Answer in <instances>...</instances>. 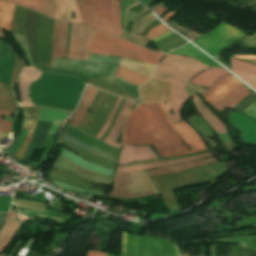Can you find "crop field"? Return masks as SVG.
Returning a JSON list of instances; mask_svg holds the SVG:
<instances>
[{
  "label": "crop field",
  "instance_id": "c21b1889",
  "mask_svg": "<svg viewBox=\"0 0 256 256\" xmlns=\"http://www.w3.org/2000/svg\"><path fill=\"white\" fill-rule=\"evenodd\" d=\"M242 113L246 114L250 118L256 120V102L252 103L246 110Z\"/></svg>",
  "mask_w": 256,
  "mask_h": 256
},
{
  "label": "crop field",
  "instance_id": "0fb4a251",
  "mask_svg": "<svg viewBox=\"0 0 256 256\" xmlns=\"http://www.w3.org/2000/svg\"><path fill=\"white\" fill-rule=\"evenodd\" d=\"M89 115H90V114H88V113L86 114L85 118H84L83 121L80 123V125L78 126V128H80V129L82 128V126L85 124V122H86L87 118L89 117Z\"/></svg>",
  "mask_w": 256,
  "mask_h": 256
},
{
  "label": "crop field",
  "instance_id": "9d1cf04e",
  "mask_svg": "<svg viewBox=\"0 0 256 256\" xmlns=\"http://www.w3.org/2000/svg\"><path fill=\"white\" fill-rule=\"evenodd\" d=\"M4 216H5V214H0V227H1V225H2Z\"/></svg>",
  "mask_w": 256,
  "mask_h": 256
},
{
  "label": "crop field",
  "instance_id": "b54c1fbb",
  "mask_svg": "<svg viewBox=\"0 0 256 256\" xmlns=\"http://www.w3.org/2000/svg\"><path fill=\"white\" fill-rule=\"evenodd\" d=\"M120 100H121V98L119 97L118 100H117V102H116V104H115V106H114V108H113V111H112V113H111V115H110L108 121L106 122V124L104 125L103 129L101 130V132L98 134V136H97L96 138L99 139L100 136H101V135L103 134V132L105 131V129L107 128V126H108V124H109V122H110V120H111V118H112V116H113V114H114V112H115V110H116V108H117V106H118Z\"/></svg>",
  "mask_w": 256,
  "mask_h": 256
},
{
  "label": "crop field",
  "instance_id": "b80d0937",
  "mask_svg": "<svg viewBox=\"0 0 256 256\" xmlns=\"http://www.w3.org/2000/svg\"><path fill=\"white\" fill-rule=\"evenodd\" d=\"M54 182H55V185H57V186L64 187V188H67V189H70V190H74V191H78V192L92 193V194H105V193H97V192H92V191H87V190L79 189V188H76V187H73V186H70V185H67V184H63V183L57 182V181H54Z\"/></svg>",
  "mask_w": 256,
  "mask_h": 256
},
{
  "label": "crop field",
  "instance_id": "5866460e",
  "mask_svg": "<svg viewBox=\"0 0 256 256\" xmlns=\"http://www.w3.org/2000/svg\"><path fill=\"white\" fill-rule=\"evenodd\" d=\"M24 8L15 6L14 11V21H13V31L19 34H24V27H23V17H24Z\"/></svg>",
  "mask_w": 256,
  "mask_h": 256
},
{
  "label": "crop field",
  "instance_id": "c035e120",
  "mask_svg": "<svg viewBox=\"0 0 256 256\" xmlns=\"http://www.w3.org/2000/svg\"><path fill=\"white\" fill-rule=\"evenodd\" d=\"M124 101H125V99L123 98L122 101H121V103H120V105H119V107H118V109H117V111H116V113H115V115H114V117H113V119H112V121H111V123H110V125H109V127H108V129L106 130L105 134L100 138V140L103 141L104 138H105V137L108 135V133L110 132L111 128L113 127V125H114V123H115L117 114H118V112L120 111V109H121V107H122Z\"/></svg>",
  "mask_w": 256,
  "mask_h": 256
},
{
  "label": "crop field",
  "instance_id": "5142ce71",
  "mask_svg": "<svg viewBox=\"0 0 256 256\" xmlns=\"http://www.w3.org/2000/svg\"><path fill=\"white\" fill-rule=\"evenodd\" d=\"M155 158L157 155L148 146H124L118 164Z\"/></svg>",
  "mask_w": 256,
  "mask_h": 256
},
{
  "label": "crop field",
  "instance_id": "bd1437ed",
  "mask_svg": "<svg viewBox=\"0 0 256 256\" xmlns=\"http://www.w3.org/2000/svg\"><path fill=\"white\" fill-rule=\"evenodd\" d=\"M13 7L12 4L0 1V36L2 38H4L3 29L11 31Z\"/></svg>",
  "mask_w": 256,
  "mask_h": 256
},
{
  "label": "crop field",
  "instance_id": "73cf0c24",
  "mask_svg": "<svg viewBox=\"0 0 256 256\" xmlns=\"http://www.w3.org/2000/svg\"><path fill=\"white\" fill-rule=\"evenodd\" d=\"M70 27H71V24L69 23V28H68V38H67V46H66V54H65V58H67V54H68V44H69Z\"/></svg>",
  "mask_w": 256,
  "mask_h": 256
},
{
  "label": "crop field",
  "instance_id": "214f88e0",
  "mask_svg": "<svg viewBox=\"0 0 256 256\" xmlns=\"http://www.w3.org/2000/svg\"><path fill=\"white\" fill-rule=\"evenodd\" d=\"M232 70L256 90V66L232 60Z\"/></svg>",
  "mask_w": 256,
  "mask_h": 256
},
{
  "label": "crop field",
  "instance_id": "bc2a9ffb",
  "mask_svg": "<svg viewBox=\"0 0 256 256\" xmlns=\"http://www.w3.org/2000/svg\"><path fill=\"white\" fill-rule=\"evenodd\" d=\"M41 12L53 18L54 0H4Z\"/></svg>",
  "mask_w": 256,
  "mask_h": 256
},
{
  "label": "crop field",
  "instance_id": "1f2cbd36",
  "mask_svg": "<svg viewBox=\"0 0 256 256\" xmlns=\"http://www.w3.org/2000/svg\"><path fill=\"white\" fill-rule=\"evenodd\" d=\"M172 33H174V32L170 31V32H168V33H165V34L159 36L158 38H156V39H154V40H152V41L155 42V41H157V40H159V39H161V38H163V37H165V36H167V35H170V34H172Z\"/></svg>",
  "mask_w": 256,
  "mask_h": 256
},
{
  "label": "crop field",
  "instance_id": "7b73153f",
  "mask_svg": "<svg viewBox=\"0 0 256 256\" xmlns=\"http://www.w3.org/2000/svg\"><path fill=\"white\" fill-rule=\"evenodd\" d=\"M202 256H204V255H202Z\"/></svg>",
  "mask_w": 256,
  "mask_h": 256
},
{
  "label": "crop field",
  "instance_id": "d8731c3e",
  "mask_svg": "<svg viewBox=\"0 0 256 256\" xmlns=\"http://www.w3.org/2000/svg\"><path fill=\"white\" fill-rule=\"evenodd\" d=\"M117 98V96L102 92L93 113H91V116L81 130L96 137L108 118Z\"/></svg>",
  "mask_w": 256,
  "mask_h": 256
},
{
  "label": "crop field",
  "instance_id": "8a807250",
  "mask_svg": "<svg viewBox=\"0 0 256 256\" xmlns=\"http://www.w3.org/2000/svg\"><path fill=\"white\" fill-rule=\"evenodd\" d=\"M124 144H151L160 157L190 153L167 125L158 103L140 105L130 113L124 127Z\"/></svg>",
  "mask_w": 256,
  "mask_h": 256
},
{
  "label": "crop field",
  "instance_id": "d9b57169",
  "mask_svg": "<svg viewBox=\"0 0 256 256\" xmlns=\"http://www.w3.org/2000/svg\"><path fill=\"white\" fill-rule=\"evenodd\" d=\"M51 123L39 121L35 132L33 134L30 146L22 159V162L27 163L30 161V157L34 150L42 151L46 139V135Z\"/></svg>",
  "mask_w": 256,
  "mask_h": 256
},
{
  "label": "crop field",
  "instance_id": "cbeb9de0",
  "mask_svg": "<svg viewBox=\"0 0 256 256\" xmlns=\"http://www.w3.org/2000/svg\"><path fill=\"white\" fill-rule=\"evenodd\" d=\"M67 27L68 23H63L55 20L52 43V60L50 68H52L53 66L54 57L64 58Z\"/></svg>",
  "mask_w": 256,
  "mask_h": 256
},
{
  "label": "crop field",
  "instance_id": "dafd665d",
  "mask_svg": "<svg viewBox=\"0 0 256 256\" xmlns=\"http://www.w3.org/2000/svg\"><path fill=\"white\" fill-rule=\"evenodd\" d=\"M240 83L233 76L227 77L205 99L213 105Z\"/></svg>",
  "mask_w": 256,
  "mask_h": 256
},
{
  "label": "crop field",
  "instance_id": "34b2d1b8",
  "mask_svg": "<svg viewBox=\"0 0 256 256\" xmlns=\"http://www.w3.org/2000/svg\"><path fill=\"white\" fill-rule=\"evenodd\" d=\"M83 24L121 35L118 0H75Z\"/></svg>",
  "mask_w": 256,
  "mask_h": 256
},
{
  "label": "crop field",
  "instance_id": "120bbe31",
  "mask_svg": "<svg viewBox=\"0 0 256 256\" xmlns=\"http://www.w3.org/2000/svg\"><path fill=\"white\" fill-rule=\"evenodd\" d=\"M54 168H57L59 170L65 171L67 173L73 174L75 176L81 177L83 179H86L95 183L106 184V185H109L110 183V181H107V180L85 175L60 160L56 161Z\"/></svg>",
  "mask_w": 256,
  "mask_h": 256
},
{
  "label": "crop field",
  "instance_id": "22f410ed",
  "mask_svg": "<svg viewBox=\"0 0 256 256\" xmlns=\"http://www.w3.org/2000/svg\"><path fill=\"white\" fill-rule=\"evenodd\" d=\"M159 104L169 125L178 135H180L183 138L184 142L190 146L192 153L206 149L199 136L184 121L171 125L165 104Z\"/></svg>",
  "mask_w": 256,
  "mask_h": 256
},
{
  "label": "crop field",
  "instance_id": "028f5c9d",
  "mask_svg": "<svg viewBox=\"0 0 256 256\" xmlns=\"http://www.w3.org/2000/svg\"><path fill=\"white\" fill-rule=\"evenodd\" d=\"M88 84L96 86V87H98L102 90L109 91V92L115 93L117 95L124 96L126 98L133 99V97H134V96H132V95L126 93V92H123V91H121V90H119V89H117V88H115V87H113L109 84L102 83V82L96 81V80L91 79V78L89 79Z\"/></svg>",
  "mask_w": 256,
  "mask_h": 256
},
{
  "label": "crop field",
  "instance_id": "3316defc",
  "mask_svg": "<svg viewBox=\"0 0 256 256\" xmlns=\"http://www.w3.org/2000/svg\"><path fill=\"white\" fill-rule=\"evenodd\" d=\"M92 29L72 24L68 58L88 59V44Z\"/></svg>",
  "mask_w": 256,
  "mask_h": 256
},
{
  "label": "crop field",
  "instance_id": "ac0d7876",
  "mask_svg": "<svg viewBox=\"0 0 256 256\" xmlns=\"http://www.w3.org/2000/svg\"><path fill=\"white\" fill-rule=\"evenodd\" d=\"M209 68L189 57L165 55L158 66L153 78L171 82L172 102H168L169 109L173 110V115L169 113L171 122H178L180 109L188 99V94L184 85L198 72Z\"/></svg>",
  "mask_w": 256,
  "mask_h": 256
},
{
  "label": "crop field",
  "instance_id": "92a150f3",
  "mask_svg": "<svg viewBox=\"0 0 256 256\" xmlns=\"http://www.w3.org/2000/svg\"><path fill=\"white\" fill-rule=\"evenodd\" d=\"M209 156H212V155L210 153H208V154H202V155L180 158V159L164 161V162H159V163H153V164L121 167V168H117L116 173L137 171V170H143V169H149V168H159V167H163V166H167V165H171V164L194 161V160H198V159H201V158H204V157H209Z\"/></svg>",
  "mask_w": 256,
  "mask_h": 256
},
{
  "label": "crop field",
  "instance_id": "25e5ab78",
  "mask_svg": "<svg viewBox=\"0 0 256 256\" xmlns=\"http://www.w3.org/2000/svg\"><path fill=\"white\" fill-rule=\"evenodd\" d=\"M165 10H167V8H162V7H157L155 10H153L156 14L160 15L162 14Z\"/></svg>",
  "mask_w": 256,
  "mask_h": 256
},
{
  "label": "crop field",
  "instance_id": "750c4746",
  "mask_svg": "<svg viewBox=\"0 0 256 256\" xmlns=\"http://www.w3.org/2000/svg\"><path fill=\"white\" fill-rule=\"evenodd\" d=\"M171 53L185 54L201 62H204L210 66L221 67L217 63H215L213 60H211L209 57H207L205 54H203L201 51H199L197 48H195L193 45H191L190 43L186 44L184 47L177 49Z\"/></svg>",
  "mask_w": 256,
  "mask_h": 256
},
{
  "label": "crop field",
  "instance_id": "733c2abd",
  "mask_svg": "<svg viewBox=\"0 0 256 256\" xmlns=\"http://www.w3.org/2000/svg\"><path fill=\"white\" fill-rule=\"evenodd\" d=\"M97 92H98V89H96V88H93L90 86L86 87L83 97H82L80 103L78 104L71 121L68 124H70L74 127L78 126V124L84 118V116L86 114V110L89 109Z\"/></svg>",
  "mask_w": 256,
  "mask_h": 256
},
{
  "label": "crop field",
  "instance_id": "4177f3b9",
  "mask_svg": "<svg viewBox=\"0 0 256 256\" xmlns=\"http://www.w3.org/2000/svg\"><path fill=\"white\" fill-rule=\"evenodd\" d=\"M248 92L241 84L233 89L227 96L222 98L217 104L213 107L222 110L227 106L234 107L241 99L247 96ZM218 110V111H219Z\"/></svg>",
  "mask_w": 256,
  "mask_h": 256
},
{
  "label": "crop field",
  "instance_id": "f4fd0767",
  "mask_svg": "<svg viewBox=\"0 0 256 256\" xmlns=\"http://www.w3.org/2000/svg\"><path fill=\"white\" fill-rule=\"evenodd\" d=\"M107 256H116L109 254ZM122 256H177L175 246L166 240L123 232Z\"/></svg>",
  "mask_w": 256,
  "mask_h": 256
},
{
  "label": "crop field",
  "instance_id": "1d79db26",
  "mask_svg": "<svg viewBox=\"0 0 256 256\" xmlns=\"http://www.w3.org/2000/svg\"><path fill=\"white\" fill-rule=\"evenodd\" d=\"M174 14V12H170V13H168L165 17H163L162 18V20L165 22L171 15H173Z\"/></svg>",
  "mask_w": 256,
  "mask_h": 256
},
{
  "label": "crop field",
  "instance_id": "28ad6ade",
  "mask_svg": "<svg viewBox=\"0 0 256 256\" xmlns=\"http://www.w3.org/2000/svg\"><path fill=\"white\" fill-rule=\"evenodd\" d=\"M141 103L155 101H171L170 83L150 79L140 88Z\"/></svg>",
  "mask_w": 256,
  "mask_h": 256
},
{
  "label": "crop field",
  "instance_id": "89e229c0",
  "mask_svg": "<svg viewBox=\"0 0 256 256\" xmlns=\"http://www.w3.org/2000/svg\"><path fill=\"white\" fill-rule=\"evenodd\" d=\"M101 92H102V91L99 90V92H98V94H97V96H96V98H95V100H94V102H93V104H92V106H91V108H90L91 110H93V108H94V106H95V104H96V102H97V100H98V98H99Z\"/></svg>",
  "mask_w": 256,
  "mask_h": 256
},
{
  "label": "crop field",
  "instance_id": "5d738f31",
  "mask_svg": "<svg viewBox=\"0 0 256 256\" xmlns=\"http://www.w3.org/2000/svg\"><path fill=\"white\" fill-rule=\"evenodd\" d=\"M229 75H231V73H229V74H227V75H224V76L220 77L218 80H216L204 93H202L203 97H204L205 95H207L210 91H212V90L215 88V86H216L223 78H225V77H227V76H229Z\"/></svg>",
  "mask_w": 256,
  "mask_h": 256
},
{
  "label": "crop field",
  "instance_id": "412701ff",
  "mask_svg": "<svg viewBox=\"0 0 256 256\" xmlns=\"http://www.w3.org/2000/svg\"><path fill=\"white\" fill-rule=\"evenodd\" d=\"M90 53L118 55L146 63L154 64L163 54L136 46L122 38L93 31L90 41Z\"/></svg>",
  "mask_w": 256,
  "mask_h": 256
},
{
  "label": "crop field",
  "instance_id": "d23c7cc5",
  "mask_svg": "<svg viewBox=\"0 0 256 256\" xmlns=\"http://www.w3.org/2000/svg\"><path fill=\"white\" fill-rule=\"evenodd\" d=\"M135 1H132V0H128V1H125L123 2V4L121 5V25H122V22H123V13H124V8L132 3H134Z\"/></svg>",
  "mask_w": 256,
  "mask_h": 256
},
{
  "label": "crop field",
  "instance_id": "d32e631a",
  "mask_svg": "<svg viewBox=\"0 0 256 256\" xmlns=\"http://www.w3.org/2000/svg\"><path fill=\"white\" fill-rule=\"evenodd\" d=\"M36 122L35 120H32V119H24L23 121V125L22 127L23 128H28L29 131L26 135V138L22 144V146L19 148V150L15 153V155L13 157L17 158L18 160L21 161L27 147H28V144L30 142V139L32 137V134H33V131H34V128H35V125H36Z\"/></svg>",
  "mask_w": 256,
  "mask_h": 256
},
{
  "label": "crop field",
  "instance_id": "d1516ede",
  "mask_svg": "<svg viewBox=\"0 0 256 256\" xmlns=\"http://www.w3.org/2000/svg\"><path fill=\"white\" fill-rule=\"evenodd\" d=\"M19 109L24 110V113H23L24 118H32L37 120L40 108L19 107ZM67 115H68L67 112L41 108L38 120L53 122L48 133H55L58 126L65 120Z\"/></svg>",
  "mask_w": 256,
  "mask_h": 256
},
{
  "label": "crop field",
  "instance_id": "425ffa30",
  "mask_svg": "<svg viewBox=\"0 0 256 256\" xmlns=\"http://www.w3.org/2000/svg\"><path fill=\"white\" fill-rule=\"evenodd\" d=\"M107 253L105 252H92L88 251L86 256H106Z\"/></svg>",
  "mask_w": 256,
  "mask_h": 256
},
{
  "label": "crop field",
  "instance_id": "ae1a2a85",
  "mask_svg": "<svg viewBox=\"0 0 256 256\" xmlns=\"http://www.w3.org/2000/svg\"><path fill=\"white\" fill-rule=\"evenodd\" d=\"M216 161H217L216 158L213 157V158H209V159H205V160H201V161H197V162L187 163V164L163 168V169H152V170H148L147 173L150 175V177L166 175V174L175 173L177 171L201 166V165L216 162Z\"/></svg>",
  "mask_w": 256,
  "mask_h": 256
},
{
  "label": "crop field",
  "instance_id": "0765c3eb",
  "mask_svg": "<svg viewBox=\"0 0 256 256\" xmlns=\"http://www.w3.org/2000/svg\"><path fill=\"white\" fill-rule=\"evenodd\" d=\"M141 1H143V2L145 3V5L150 2V0H141ZM143 2H142V3H143Z\"/></svg>",
  "mask_w": 256,
  "mask_h": 256
},
{
  "label": "crop field",
  "instance_id": "1d83c4d3",
  "mask_svg": "<svg viewBox=\"0 0 256 256\" xmlns=\"http://www.w3.org/2000/svg\"><path fill=\"white\" fill-rule=\"evenodd\" d=\"M115 76L123 78L138 87L149 79L148 77L120 66L118 67Z\"/></svg>",
  "mask_w": 256,
  "mask_h": 256
},
{
  "label": "crop field",
  "instance_id": "e1f06a70",
  "mask_svg": "<svg viewBox=\"0 0 256 256\" xmlns=\"http://www.w3.org/2000/svg\"><path fill=\"white\" fill-rule=\"evenodd\" d=\"M170 31L168 28L163 26L162 24L152 27L147 33L146 37H149L151 40L158 37L159 35Z\"/></svg>",
  "mask_w": 256,
  "mask_h": 256
},
{
  "label": "crop field",
  "instance_id": "db79e9e6",
  "mask_svg": "<svg viewBox=\"0 0 256 256\" xmlns=\"http://www.w3.org/2000/svg\"><path fill=\"white\" fill-rule=\"evenodd\" d=\"M184 256H187L186 254H184Z\"/></svg>",
  "mask_w": 256,
  "mask_h": 256
},
{
  "label": "crop field",
  "instance_id": "730fd06b",
  "mask_svg": "<svg viewBox=\"0 0 256 256\" xmlns=\"http://www.w3.org/2000/svg\"><path fill=\"white\" fill-rule=\"evenodd\" d=\"M134 102L132 101H129V100H126L119 116H118V119L115 123V126L114 128L112 129V131L109 133V135L105 138L104 142L110 144L111 146L113 147H118L120 148L121 147V144H118L115 141L116 137L118 136L121 128H122V125H123V121L129 111V109L131 108V106L133 105Z\"/></svg>",
  "mask_w": 256,
  "mask_h": 256
},
{
  "label": "crop field",
  "instance_id": "dd49c442",
  "mask_svg": "<svg viewBox=\"0 0 256 256\" xmlns=\"http://www.w3.org/2000/svg\"><path fill=\"white\" fill-rule=\"evenodd\" d=\"M156 192L155 187L144 171L116 174L111 196L131 197L149 195Z\"/></svg>",
  "mask_w": 256,
  "mask_h": 256
},
{
  "label": "crop field",
  "instance_id": "eef30255",
  "mask_svg": "<svg viewBox=\"0 0 256 256\" xmlns=\"http://www.w3.org/2000/svg\"><path fill=\"white\" fill-rule=\"evenodd\" d=\"M21 223L16 221V211L10 210L9 217L5 223L2 231L0 232V251L12 238Z\"/></svg>",
  "mask_w": 256,
  "mask_h": 256
},
{
  "label": "crop field",
  "instance_id": "00972430",
  "mask_svg": "<svg viewBox=\"0 0 256 256\" xmlns=\"http://www.w3.org/2000/svg\"><path fill=\"white\" fill-rule=\"evenodd\" d=\"M60 155L66 157L70 161H72V162H74V163H76V164H78L82 167H85L89 170L96 171V172L103 173V174L110 175V176L113 175V170L98 166V165L93 164V163H90V162L84 160L83 158L79 157L74 152H72L70 150H67L63 147H61V154Z\"/></svg>",
  "mask_w": 256,
  "mask_h": 256
},
{
  "label": "crop field",
  "instance_id": "d3111659",
  "mask_svg": "<svg viewBox=\"0 0 256 256\" xmlns=\"http://www.w3.org/2000/svg\"><path fill=\"white\" fill-rule=\"evenodd\" d=\"M226 73H228V71H226L225 69L210 68L204 72L197 74L190 82L197 85L209 87L214 80Z\"/></svg>",
  "mask_w": 256,
  "mask_h": 256
},
{
  "label": "crop field",
  "instance_id": "5a996713",
  "mask_svg": "<svg viewBox=\"0 0 256 256\" xmlns=\"http://www.w3.org/2000/svg\"><path fill=\"white\" fill-rule=\"evenodd\" d=\"M53 19L41 14L38 17V65L37 68H49L51 60V42Z\"/></svg>",
  "mask_w": 256,
  "mask_h": 256
},
{
  "label": "crop field",
  "instance_id": "0bd39190",
  "mask_svg": "<svg viewBox=\"0 0 256 256\" xmlns=\"http://www.w3.org/2000/svg\"><path fill=\"white\" fill-rule=\"evenodd\" d=\"M1 84V83H0ZM4 114V115H8V116H11L12 117V113L11 112H7V111H4V110H0V131H3V132H6L8 133L10 128H11V122H8V121H5V120H2L1 119V115Z\"/></svg>",
  "mask_w": 256,
  "mask_h": 256
},
{
  "label": "crop field",
  "instance_id": "dbb93151",
  "mask_svg": "<svg viewBox=\"0 0 256 256\" xmlns=\"http://www.w3.org/2000/svg\"><path fill=\"white\" fill-rule=\"evenodd\" d=\"M234 57H239V58H245V59H256V56H241V55H236Z\"/></svg>",
  "mask_w": 256,
  "mask_h": 256
},
{
  "label": "crop field",
  "instance_id": "a9b5d70f",
  "mask_svg": "<svg viewBox=\"0 0 256 256\" xmlns=\"http://www.w3.org/2000/svg\"><path fill=\"white\" fill-rule=\"evenodd\" d=\"M194 97V103L195 106L199 112V114L215 129V131L218 134L225 133L226 126L220 122L208 109L207 107L202 103V101L195 95Z\"/></svg>",
  "mask_w": 256,
  "mask_h": 256
},
{
  "label": "crop field",
  "instance_id": "e52e79f7",
  "mask_svg": "<svg viewBox=\"0 0 256 256\" xmlns=\"http://www.w3.org/2000/svg\"><path fill=\"white\" fill-rule=\"evenodd\" d=\"M244 34L241 30L221 23L213 32L192 42L213 56L226 45L229 46L232 38L239 41Z\"/></svg>",
  "mask_w": 256,
  "mask_h": 256
},
{
  "label": "crop field",
  "instance_id": "447ae74e",
  "mask_svg": "<svg viewBox=\"0 0 256 256\" xmlns=\"http://www.w3.org/2000/svg\"><path fill=\"white\" fill-rule=\"evenodd\" d=\"M214 251H215V245H212V252H211V256H214Z\"/></svg>",
  "mask_w": 256,
  "mask_h": 256
},
{
  "label": "crop field",
  "instance_id": "03da06ac",
  "mask_svg": "<svg viewBox=\"0 0 256 256\" xmlns=\"http://www.w3.org/2000/svg\"><path fill=\"white\" fill-rule=\"evenodd\" d=\"M59 159L69 163L70 165L74 166L75 168H77V169H79V170H81V171H83L85 173H89V174L96 175V176L103 177V178L110 179V180L112 179L111 177H107V176H104V175H100V174H96V173H93V172L86 171V170H84V169H82V168L72 164L70 161H68L66 158H64L62 156H59Z\"/></svg>",
  "mask_w": 256,
  "mask_h": 256
},
{
  "label": "crop field",
  "instance_id": "4a817a6b",
  "mask_svg": "<svg viewBox=\"0 0 256 256\" xmlns=\"http://www.w3.org/2000/svg\"><path fill=\"white\" fill-rule=\"evenodd\" d=\"M71 11H74L76 19H71ZM54 18L81 24L80 16L74 0H55Z\"/></svg>",
  "mask_w": 256,
  "mask_h": 256
}]
</instances>
